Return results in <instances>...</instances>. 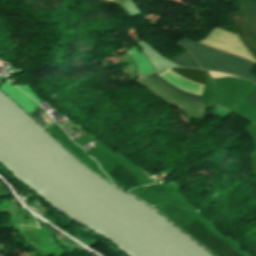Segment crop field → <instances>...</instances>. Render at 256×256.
Wrapping results in <instances>:
<instances>
[{"mask_svg": "<svg viewBox=\"0 0 256 256\" xmlns=\"http://www.w3.org/2000/svg\"><path fill=\"white\" fill-rule=\"evenodd\" d=\"M176 44L186 49L196 60L197 64L204 69L222 71L256 82V77L250 75L251 71L256 66V63L187 39H183Z\"/></svg>", "mask_w": 256, "mask_h": 256, "instance_id": "8a807250", "label": "crop field"}, {"mask_svg": "<svg viewBox=\"0 0 256 256\" xmlns=\"http://www.w3.org/2000/svg\"><path fill=\"white\" fill-rule=\"evenodd\" d=\"M245 15L256 35V1L246 0ZM245 15L237 13L228 16L244 46L249 52H253L256 51V37L253 34Z\"/></svg>", "mask_w": 256, "mask_h": 256, "instance_id": "ac0d7876", "label": "crop field"}, {"mask_svg": "<svg viewBox=\"0 0 256 256\" xmlns=\"http://www.w3.org/2000/svg\"><path fill=\"white\" fill-rule=\"evenodd\" d=\"M219 256H241L198 221L184 228Z\"/></svg>", "mask_w": 256, "mask_h": 256, "instance_id": "34b2d1b8", "label": "crop field"}, {"mask_svg": "<svg viewBox=\"0 0 256 256\" xmlns=\"http://www.w3.org/2000/svg\"><path fill=\"white\" fill-rule=\"evenodd\" d=\"M171 70H172V69H171ZM174 70H175L176 72H178V73H180V74H182V75H184V76L190 78V79L197 80V81H200V82H203V83L205 82L206 75H207V72H208V71H204V70L187 69V68H175ZM172 71H173V70H172ZM175 71H173V72H175ZM176 72H175V73H176ZM178 73H176V74H178ZM180 74H178V75H180ZM152 75L155 77V79H156L159 83H161L163 86L167 87L168 89L172 90L173 92H175V93H177V94H180V95H183V96L193 97V98H199V99H200V97H195V96L187 95V94H184V93H182V92H180V91H177V90H175V89H173V88L167 86L166 84L162 83L161 81H159V80L156 78V76H155L154 73H152ZM152 75L150 74V75H148V76H149L157 85H159V86H160L161 88H163L164 90H166V91H168V92H170V93H172V94H174V95H176V96H180V95H177V94L171 92V91L168 90L167 88L163 87L161 84H159V83L153 78ZM182 75H180V76H182ZM182 77H183V76H182ZM184 78H185V77H184ZM186 79H187V78H186ZM190 79H188V80H190ZM193 80H192V81H193ZM200 82H199V83H200ZM183 96H180V97H183ZM187 97H184V98H187ZM193 98H188V99H192V100H196V101H200V102H201V100H199V99H193ZM188 99H187V100H188Z\"/></svg>", "mask_w": 256, "mask_h": 256, "instance_id": "412701ff", "label": "crop field"}, {"mask_svg": "<svg viewBox=\"0 0 256 256\" xmlns=\"http://www.w3.org/2000/svg\"><path fill=\"white\" fill-rule=\"evenodd\" d=\"M114 177H116L118 180H120L123 184H125L130 189L140 186L135 181L139 178L136 177L132 172H130L126 167H124L122 164L116 167L114 170L109 172Z\"/></svg>", "mask_w": 256, "mask_h": 256, "instance_id": "f4fd0767", "label": "crop field"}, {"mask_svg": "<svg viewBox=\"0 0 256 256\" xmlns=\"http://www.w3.org/2000/svg\"><path fill=\"white\" fill-rule=\"evenodd\" d=\"M174 63L184 66V67H193V68H198L200 69L195 61L192 59L191 55L188 52H184L183 54H180L176 56L174 59H172Z\"/></svg>", "mask_w": 256, "mask_h": 256, "instance_id": "dd49c442", "label": "crop field"}, {"mask_svg": "<svg viewBox=\"0 0 256 256\" xmlns=\"http://www.w3.org/2000/svg\"><path fill=\"white\" fill-rule=\"evenodd\" d=\"M246 101L256 106V89Z\"/></svg>", "mask_w": 256, "mask_h": 256, "instance_id": "e52e79f7", "label": "crop field"}, {"mask_svg": "<svg viewBox=\"0 0 256 256\" xmlns=\"http://www.w3.org/2000/svg\"><path fill=\"white\" fill-rule=\"evenodd\" d=\"M251 54L256 59V53H251Z\"/></svg>", "mask_w": 256, "mask_h": 256, "instance_id": "d8731c3e", "label": "crop field"}, {"mask_svg": "<svg viewBox=\"0 0 256 256\" xmlns=\"http://www.w3.org/2000/svg\"><path fill=\"white\" fill-rule=\"evenodd\" d=\"M104 1H106L107 3L110 2L109 0H104Z\"/></svg>", "mask_w": 256, "mask_h": 256, "instance_id": "5a996713", "label": "crop field"}]
</instances>
